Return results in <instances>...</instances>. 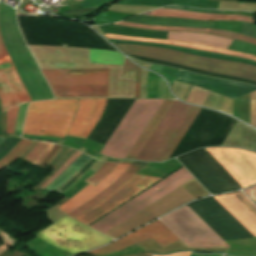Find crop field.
<instances>
[{"label":"crop field","mask_w":256,"mask_h":256,"mask_svg":"<svg viewBox=\"0 0 256 256\" xmlns=\"http://www.w3.org/2000/svg\"><path fill=\"white\" fill-rule=\"evenodd\" d=\"M199 111L200 108L175 101L136 159L153 162L168 159Z\"/></svg>","instance_id":"crop-field-1"},{"label":"crop field","mask_w":256,"mask_h":256,"mask_svg":"<svg viewBox=\"0 0 256 256\" xmlns=\"http://www.w3.org/2000/svg\"><path fill=\"white\" fill-rule=\"evenodd\" d=\"M78 100H49L30 103L24 124L25 134L66 136L74 118ZM43 130V133H40Z\"/></svg>","instance_id":"crop-field-2"},{"label":"crop field","mask_w":256,"mask_h":256,"mask_svg":"<svg viewBox=\"0 0 256 256\" xmlns=\"http://www.w3.org/2000/svg\"><path fill=\"white\" fill-rule=\"evenodd\" d=\"M114 45L125 53L155 58L218 74L238 76L256 81V67L254 66L229 61L202 58L161 48L146 47L140 45Z\"/></svg>","instance_id":"crop-field-3"},{"label":"crop field","mask_w":256,"mask_h":256,"mask_svg":"<svg viewBox=\"0 0 256 256\" xmlns=\"http://www.w3.org/2000/svg\"><path fill=\"white\" fill-rule=\"evenodd\" d=\"M162 102L163 100L136 99L101 153L125 158Z\"/></svg>","instance_id":"crop-field-4"},{"label":"crop field","mask_w":256,"mask_h":256,"mask_svg":"<svg viewBox=\"0 0 256 256\" xmlns=\"http://www.w3.org/2000/svg\"><path fill=\"white\" fill-rule=\"evenodd\" d=\"M41 70L50 86L51 84H107L108 90L109 69ZM53 87L58 96H105L106 90V85H53ZM53 93L56 96L54 90Z\"/></svg>","instance_id":"crop-field-5"},{"label":"crop field","mask_w":256,"mask_h":256,"mask_svg":"<svg viewBox=\"0 0 256 256\" xmlns=\"http://www.w3.org/2000/svg\"><path fill=\"white\" fill-rule=\"evenodd\" d=\"M191 178L193 177L183 167L90 227L105 234Z\"/></svg>","instance_id":"crop-field-6"},{"label":"crop field","mask_w":256,"mask_h":256,"mask_svg":"<svg viewBox=\"0 0 256 256\" xmlns=\"http://www.w3.org/2000/svg\"><path fill=\"white\" fill-rule=\"evenodd\" d=\"M35 236L72 254L112 241L66 216Z\"/></svg>","instance_id":"crop-field-7"},{"label":"crop field","mask_w":256,"mask_h":256,"mask_svg":"<svg viewBox=\"0 0 256 256\" xmlns=\"http://www.w3.org/2000/svg\"><path fill=\"white\" fill-rule=\"evenodd\" d=\"M161 220L188 247H229L187 205L161 218Z\"/></svg>","instance_id":"crop-field-8"},{"label":"crop field","mask_w":256,"mask_h":256,"mask_svg":"<svg viewBox=\"0 0 256 256\" xmlns=\"http://www.w3.org/2000/svg\"><path fill=\"white\" fill-rule=\"evenodd\" d=\"M0 100L2 112L7 110V133H14L18 106L31 101L19 78L0 36Z\"/></svg>","instance_id":"crop-field-9"},{"label":"crop field","mask_w":256,"mask_h":256,"mask_svg":"<svg viewBox=\"0 0 256 256\" xmlns=\"http://www.w3.org/2000/svg\"><path fill=\"white\" fill-rule=\"evenodd\" d=\"M206 150L243 188L256 183V154L236 149Z\"/></svg>","instance_id":"crop-field-10"},{"label":"crop field","mask_w":256,"mask_h":256,"mask_svg":"<svg viewBox=\"0 0 256 256\" xmlns=\"http://www.w3.org/2000/svg\"><path fill=\"white\" fill-rule=\"evenodd\" d=\"M159 180V178L135 175L104 200L75 219L88 225Z\"/></svg>","instance_id":"crop-field-11"},{"label":"crop field","mask_w":256,"mask_h":256,"mask_svg":"<svg viewBox=\"0 0 256 256\" xmlns=\"http://www.w3.org/2000/svg\"><path fill=\"white\" fill-rule=\"evenodd\" d=\"M150 237H152L162 248L179 240L171 231L157 220L110 245L86 254L102 256Z\"/></svg>","instance_id":"crop-field-12"},{"label":"crop field","mask_w":256,"mask_h":256,"mask_svg":"<svg viewBox=\"0 0 256 256\" xmlns=\"http://www.w3.org/2000/svg\"><path fill=\"white\" fill-rule=\"evenodd\" d=\"M175 80L200 86L232 99L241 97L248 92L256 90V86L213 79L198 74L184 72L181 70H179Z\"/></svg>","instance_id":"crop-field-13"},{"label":"crop field","mask_w":256,"mask_h":256,"mask_svg":"<svg viewBox=\"0 0 256 256\" xmlns=\"http://www.w3.org/2000/svg\"><path fill=\"white\" fill-rule=\"evenodd\" d=\"M106 99H80L78 111L67 135L87 138L104 111Z\"/></svg>","instance_id":"crop-field-14"},{"label":"crop field","mask_w":256,"mask_h":256,"mask_svg":"<svg viewBox=\"0 0 256 256\" xmlns=\"http://www.w3.org/2000/svg\"><path fill=\"white\" fill-rule=\"evenodd\" d=\"M215 198L256 236V206L242 192L216 196Z\"/></svg>","instance_id":"crop-field-15"},{"label":"crop field","mask_w":256,"mask_h":256,"mask_svg":"<svg viewBox=\"0 0 256 256\" xmlns=\"http://www.w3.org/2000/svg\"><path fill=\"white\" fill-rule=\"evenodd\" d=\"M130 166V163H119L118 166L100 183L95 187L92 185L86 186L79 193L73 196L71 199L62 204L59 209H61L66 214L76 209L104 189H106L112 182H114L122 173H124L127 168Z\"/></svg>","instance_id":"crop-field-16"},{"label":"crop field","mask_w":256,"mask_h":256,"mask_svg":"<svg viewBox=\"0 0 256 256\" xmlns=\"http://www.w3.org/2000/svg\"><path fill=\"white\" fill-rule=\"evenodd\" d=\"M127 21L151 24V25H165V26H180V27H195V28H214V21H197L182 18H170V17H149V16H137Z\"/></svg>","instance_id":"crop-field-17"},{"label":"crop field","mask_w":256,"mask_h":256,"mask_svg":"<svg viewBox=\"0 0 256 256\" xmlns=\"http://www.w3.org/2000/svg\"><path fill=\"white\" fill-rule=\"evenodd\" d=\"M149 163H142V162H136L133 161L131 166L128 168V170L121 175L113 184H111L106 190L77 208L76 210L72 211L68 215L71 217H76L80 213L84 212L94 204L98 203L102 199H104L106 196H108L110 193H112L115 189H117L120 185H122L124 182H126L129 178H131L133 175H135L138 171H140L143 167H145Z\"/></svg>","instance_id":"crop-field-18"},{"label":"crop field","mask_w":256,"mask_h":256,"mask_svg":"<svg viewBox=\"0 0 256 256\" xmlns=\"http://www.w3.org/2000/svg\"><path fill=\"white\" fill-rule=\"evenodd\" d=\"M142 15L171 16V17H182V18L198 19V20H240V21H246V22L254 23V18L246 17V16L210 15V14H200V13L168 10V9H162V8L144 13Z\"/></svg>","instance_id":"crop-field-19"},{"label":"crop field","mask_w":256,"mask_h":256,"mask_svg":"<svg viewBox=\"0 0 256 256\" xmlns=\"http://www.w3.org/2000/svg\"><path fill=\"white\" fill-rule=\"evenodd\" d=\"M167 40H176L193 44L216 46L224 49H227L229 44L232 42V39L219 36L178 32H168Z\"/></svg>","instance_id":"crop-field-20"},{"label":"crop field","mask_w":256,"mask_h":256,"mask_svg":"<svg viewBox=\"0 0 256 256\" xmlns=\"http://www.w3.org/2000/svg\"><path fill=\"white\" fill-rule=\"evenodd\" d=\"M174 103V100H164L156 114L153 116L137 142L134 144L126 158L135 159L137 154L140 152L144 144L147 142L153 131L156 129L162 118L165 116L169 108Z\"/></svg>","instance_id":"crop-field-21"},{"label":"crop field","mask_w":256,"mask_h":256,"mask_svg":"<svg viewBox=\"0 0 256 256\" xmlns=\"http://www.w3.org/2000/svg\"><path fill=\"white\" fill-rule=\"evenodd\" d=\"M108 40L112 43L140 44V45H146V46L168 48V49H173V50H177V51H181V52H185V53H189V54H193V55H197V56L242 62V63H246V64L256 66V61L243 59V58L232 57V56H228V55H222V54H216V53H210V52H204V51H198V50H192V49H186V48H180V47H174V46H168V45H162V44H154V43H146V42H134V41H122V40H111V39H108Z\"/></svg>","instance_id":"crop-field-22"},{"label":"crop field","mask_w":256,"mask_h":256,"mask_svg":"<svg viewBox=\"0 0 256 256\" xmlns=\"http://www.w3.org/2000/svg\"><path fill=\"white\" fill-rule=\"evenodd\" d=\"M105 36L107 38H113V39L146 41V42H154V43L175 45V46H181V47L193 48V49H198V50L228 54V55H232V56H237V57H243V58L256 60V57H254V56L246 55V54L239 53V52L228 51V50H224V49H220V48H216V47L193 45V44L181 43V42H176V41H163V40H155V39L131 38V37L114 36V35H105Z\"/></svg>","instance_id":"crop-field-23"},{"label":"crop field","mask_w":256,"mask_h":256,"mask_svg":"<svg viewBox=\"0 0 256 256\" xmlns=\"http://www.w3.org/2000/svg\"><path fill=\"white\" fill-rule=\"evenodd\" d=\"M114 24H120V25H126V26H132V27H140V28H150V29H159V30H169V31H195V32H204V33H210L214 35L224 36L248 43H252L256 45V40L245 37L242 35L230 33V32H224V31H217V30H208V29H194V28H180V27H164V26H151V25H139V24H131L127 22H119Z\"/></svg>","instance_id":"crop-field-24"},{"label":"crop field","mask_w":256,"mask_h":256,"mask_svg":"<svg viewBox=\"0 0 256 256\" xmlns=\"http://www.w3.org/2000/svg\"><path fill=\"white\" fill-rule=\"evenodd\" d=\"M91 157L82 154L72 162L44 191L56 192L72 175H74Z\"/></svg>","instance_id":"crop-field-25"},{"label":"crop field","mask_w":256,"mask_h":256,"mask_svg":"<svg viewBox=\"0 0 256 256\" xmlns=\"http://www.w3.org/2000/svg\"><path fill=\"white\" fill-rule=\"evenodd\" d=\"M90 63H104V64H118L122 65L123 57L121 54L104 51V50H93L89 49Z\"/></svg>","instance_id":"crop-field-26"},{"label":"crop field","mask_w":256,"mask_h":256,"mask_svg":"<svg viewBox=\"0 0 256 256\" xmlns=\"http://www.w3.org/2000/svg\"><path fill=\"white\" fill-rule=\"evenodd\" d=\"M53 146V144L38 142L32 151L24 158V160L38 166L39 163L50 152Z\"/></svg>","instance_id":"crop-field-27"},{"label":"crop field","mask_w":256,"mask_h":256,"mask_svg":"<svg viewBox=\"0 0 256 256\" xmlns=\"http://www.w3.org/2000/svg\"><path fill=\"white\" fill-rule=\"evenodd\" d=\"M191 1V0H121L119 4H127V5H143V6H157L163 7L170 4Z\"/></svg>","instance_id":"crop-field-28"},{"label":"crop field","mask_w":256,"mask_h":256,"mask_svg":"<svg viewBox=\"0 0 256 256\" xmlns=\"http://www.w3.org/2000/svg\"><path fill=\"white\" fill-rule=\"evenodd\" d=\"M31 141L22 139L16 147L2 160H0V170L17 159L20 154L31 144Z\"/></svg>","instance_id":"crop-field-29"},{"label":"crop field","mask_w":256,"mask_h":256,"mask_svg":"<svg viewBox=\"0 0 256 256\" xmlns=\"http://www.w3.org/2000/svg\"><path fill=\"white\" fill-rule=\"evenodd\" d=\"M118 163L112 162H104L102 166L88 179L85 181L89 182L92 185H96L100 182L105 176H107L116 166Z\"/></svg>","instance_id":"crop-field-30"},{"label":"crop field","mask_w":256,"mask_h":256,"mask_svg":"<svg viewBox=\"0 0 256 256\" xmlns=\"http://www.w3.org/2000/svg\"><path fill=\"white\" fill-rule=\"evenodd\" d=\"M208 94H209V91L193 86L190 94L186 99V102L202 106Z\"/></svg>","instance_id":"crop-field-31"},{"label":"crop field","mask_w":256,"mask_h":256,"mask_svg":"<svg viewBox=\"0 0 256 256\" xmlns=\"http://www.w3.org/2000/svg\"><path fill=\"white\" fill-rule=\"evenodd\" d=\"M97 160L91 159L86 163L74 176H72L60 189L59 191L63 192L67 189L73 182H75L82 174H84Z\"/></svg>","instance_id":"crop-field-32"},{"label":"crop field","mask_w":256,"mask_h":256,"mask_svg":"<svg viewBox=\"0 0 256 256\" xmlns=\"http://www.w3.org/2000/svg\"><path fill=\"white\" fill-rule=\"evenodd\" d=\"M20 140L21 138L19 137L7 138L5 142L0 146V149H1L8 141V143L0 150V159L5 155H7Z\"/></svg>","instance_id":"crop-field-33"},{"label":"crop field","mask_w":256,"mask_h":256,"mask_svg":"<svg viewBox=\"0 0 256 256\" xmlns=\"http://www.w3.org/2000/svg\"><path fill=\"white\" fill-rule=\"evenodd\" d=\"M111 1L113 0H84L79 5H81L82 8H101Z\"/></svg>","instance_id":"crop-field-34"},{"label":"crop field","mask_w":256,"mask_h":256,"mask_svg":"<svg viewBox=\"0 0 256 256\" xmlns=\"http://www.w3.org/2000/svg\"><path fill=\"white\" fill-rule=\"evenodd\" d=\"M136 65L128 60H125V64L122 71V77L135 78Z\"/></svg>","instance_id":"crop-field-35"},{"label":"crop field","mask_w":256,"mask_h":256,"mask_svg":"<svg viewBox=\"0 0 256 256\" xmlns=\"http://www.w3.org/2000/svg\"><path fill=\"white\" fill-rule=\"evenodd\" d=\"M82 153L80 152H76L56 173L55 175L48 180L45 184H43L40 188H38L39 190H42L43 188H45L49 183H51L72 161H74L78 156H80Z\"/></svg>","instance_id":"crop-field-36"},{"label":"crop field","mask_w":256,"mask_h":256,"mask_svg":"<svg viewBox=\"0 0 256 256\" xmlns=\"http://www.w3.org/2000/svg\"><path fill=\"white\" fill-rule=\"evenodd\" d=\"M251 125L256 127V91L250 93Z\"/></svg>","instance_id":"crop-field-37"},{"label":"crop field","mask_w":256,"mask_h":256,"mask_svg":"<svg viewBox=\"0 0 256 256\" xmlns=\"http://www.w3.org/2000/svg\"><path fill=\"white\" fill-rule=\"evenodd\" d=\"M242 34H246L256 38V25L243 22Z\"/></svg>","instance_id":"crop-field-38"},{"label":"crop field","mask_w":256,"mask_h":256,"mask_svg":"<svg viewBox=\"0 0 256 256\" xmlns=\"http://www.w3.org/2000/svg\"><path fill=\"white\" fill-rule=\"evenodd\" d=\"M97 9H70L67 10L61 14H66V15H86L90 12H93Z\"/></svg>","instance_id":"crop-field-39"},{"label":"crop field","mask_w":256,"mask_h":256,"mask_svg":"<svg viewBox=\"0 0 256 256\" xmlns=\"http://www.w3.org/2000/svg\"><path fill=\"white\" fill-rule=\"evenodd\" d=\"M164 8L192 11V12L214 13V14H221V13L225 12V11H219V10H198V9H189V8H179V7H174V6L164 7Z\"/></svg>","instance_id":"crop-field-40"},{"label":"crop field","mask_w":256,"mask_h":256,"mask_svg":"<svg viewBox=\"0 0 256 256\" xmlns=\"http://www.w3.org/2000/svg\"><path fill=\"white\" fill-rule=\"evenodd\" d=\"M140 73H141V68L137 67L135 98H139V94H140V86H141Z\"/></svg>","instance_id":"crop-field-41"},{"label":"crop field","mask_w":256,"mask_h":256,"mask_svg":"<svg viewBox=\"0 0 256 256\" xmlns=\"http://www.w3.org/2000/svg\"><path fill=\"white\" fill-rule=\"evenodd\" d=\"M243 192L256 202V186H254L248 190H245Z\"/></svg>","instance_id":"crop-field-42"},{"label":"crop field","mask_w":256,"mask_h":256,"mask_svg":"<svg viewBox=\"0 0 256 256\" xmlns=\"http://www.w3.org/2000/svg\"><path fill=\"white\" fill-rule=\"evenodd\" d=\"M189 252H185V253H179V254H172V255H168V256H189Z\"/></svg>","instance_id":"crop-field-43"},{"label":"crop field","mask_w":256,"mask_h":256,"mask_svg":"<svg viewBox=\"0 0 256 256\" xmlns=\"http://www.w3.org/2000/svg\"><path fill=\"white\" fill-rule=\"evenodd\" d=\"M190 256H223V255H218V254H210V255H197V254H193L191 253Z\"/></svg>","instance_id":"crop-field-44"},{"label":"crop field","mask_w":256,"mask_h":256,"mask_svg":"<svg viewBox=\"0 0 256 256\" xmlns=\"http://www.w3.org/2000/svg\"><path fill=\"white\" fill-rule=\"evenodd\" d=\"M4 140L5 138H0V145L3 143Z\"/></svg>","instance_id":"crop-field-45"},{"label":"crop field","mask_w":256,"mask_h":256,"mask_svg":"<svg viewBox=\"0 0 256 256\" xmlns=\"http://www.w3.org/2000/svg\"><path fill=\"white\" fill-rule=\"evenodd\" d=\"M77 1H80V0H77Z\"/></svg>","instance_id":"crop-field-46"}]
</instances>
